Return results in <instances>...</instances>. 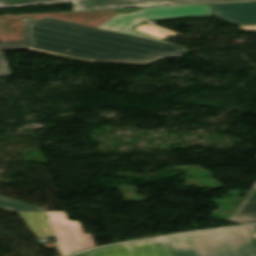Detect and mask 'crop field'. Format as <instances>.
Instances as JSON below:
<instances>
[{
    "label": "crop field",
    "mask_w": 256,
    "mask_h": 256,
    "mask_svg": "<svg viewBox=\"0 0 256 256\" xmlns=\"http://www.w3.org/2000/svg\"><path fill=\"white\" fill-rule=\"evenodd\" d=\"M176 256H256L246 227L169 237Z\"/></svg>",
    "instance_id": "obj_2"
},
{
    "label": "crop field",
    "mask_w": 256,
    "mask_h": 256,
    "mask_svg": "<svg viewBox=\"0 0 256 256\" xmlns=\"http://www.w3.org/2000/svg\"><path fill=\"white\" fill-rule=\"evenodd\" d=\"M0 209L7 211H41L42 207L20 202L11 198L0 196Z\"/></svg>",
    "instance_id": "obj_8"
},
{
    "label": "crop field",
    "mask_w": 256,
    "mask_h": 256,
    "mask_svg": "<svg viewBox=\"0 0 256 256\" xmlns=\"http://www.w3.org/2000/svg\"><path fill=\"white\" fill-rule=\"evenodd\" d=\"M238 29H244V30H255L256 31V25H250V26H239Z\"/></svg>",
    "instance_id": "obj_12"
},
{
    "label": "crop field",
    "mask_w": 256,
    "mask_h": 256,
    "mask_svg": "<svg viewBox=\"0 0 256 256\" xmlns=\"http://www.w3.org/2000/svg\"><path fill=\"white\" fill-rule=\"evenodd\" d=\"M211 10L212 16L238 25L256 24V2L211 5Z\"/></svg>",
    "instance_id": "obj_6"
},
{
    "label": "crop field",
    "mask_w": 256,
    "mask_h": 256,
    "mask_svg": "<svg viewBox=\"0 0 256 256\" xmlns=\"http://www.w3.org/2000/svg\"><path fill=\"white\" fill-rule=\"evenodd\" d=\"M27 49L25 41L0 43V76L11 75L2 51Z\"/></svg>",
    "instance_id": "obj_9"
},
{
    "label": "crop field",
    "mask_w": 256,
    "mask_h": 256,
    "mask_svg": "<svg viewBox=\"0 0 256 256\" xmlns=\"http://www.w3.org/2000/svg\"><path fill=\"white\" fill-rule=\"evenodd\" d=\"M36 238L54 236L61 256L95 247L91 233L84 234L79 221L68 220L64 211L17 212Z\"/></svg>",
    "instance_id": "obj_3"
},
{
    "label": "crop field",
    "mask_w": 256,
    "mask_h": 256,
    "mask_svg": "<svg viewBox=\"0 0 256 256\" xmlns=\"http://www.w3.org/2000/svg\"><path fill=\"white\" fill-rule=\"evenodd\" d=\"M138 3H135V2ZM256 0H0V8L26 6L47 3L74 2L73 11L81 10H109L120 9L122 7L140 6L155 7L176 5H197V4H219V3H235V2H251Z\"/></svg>",
    "instance_id": "obj_4"
},
{
    "label": "crop field",
    "mask_w": 256,
    "mask_h": 256,
    "mask_svg": "<svg viewBox=\"0 0 256 256\" xmlns=\"http://www.w3.org/2000/svg\"><path fill=\"white\" fill-rule=\"evenodd\" d=\"M76 256H82V254L76 255Z\"/></svg>",
    "instance_id": "obj_13"
},
{
    "label": "crop field",
    "mask_w": 256,
    "mask_h": 256,
    "mask_svg": "<svg viewBox=\"0 0 256 256\" xmlns=\"http://www.w3.org/2000/svg\"><path fill=\"white\" fill-rule=\"evenodd\" d=\"M228 221L241 225L256 222V184L237 206Z\"/></svg>",
    "instance_id": "obj_7"
},
{
    "label": "crop field",
    "mask_w": 256,
    "mask_h": 256,
    "mask_svg": "<svg viewBox=\"0 0 256 256\" xmlns=\"http://www.w3.org/2000/svg\"><path fill=\"white\" fill-rule=\"evenodd\" d=\"M83 256H175L168 237L93 249L82 253Z\"/></svg>",
    "instance_id": "obj_5"
},
{
    "label": "crop field",
    "mask_w": 256,
    "mask_h": 256,
    "mask_svg": "<svg viewBox=\"0 0 256 256\" xmlns=\"http://www.w3.org/2000/svg\"><path fill=\"white\" fill-rule=\"evenodd\" d=\"M256 248V225L247 227Z\"/></svg>",
    "instance_id": "obj_11"
},
{
    "label": "crop field",
    "mask_w": 256,
    "mask_h": 256,
    "mask_svg": "<svg viewBox=\"0 0 256 256\" xmlns=\"http://www.w3.org/2000/svg\"><path fill=\"white\" fill-rule=\"evenodd\" d=\"M211 15L210 5L143 8L118 14L94 28L54 19L24 18L28 49L80 59L145 64L187 49L133 30L144 19L154 21Z\"/></svg>",
    "instance_id": "obj_1"
},
{
    "label": "crop field",
    "mask_w": 256,
    "mask_h": 256,
    "mask_svg": "<svg viewBox=\"0 0 256 256\" xmlns=\"http://www.w3.org/2000/svg\"><path fill=\"white\" fill-rule=\"evenodd\" d=\"M136 30L141 31L146 34H149V35L159 38L161 40H163L171 35L177 34V33H173L168 30L162 29L160 27H157L151 23L146 24V25H140L138 28H136Z\"/></svg>",
    "instance_id": "obj_10"
}]
</instances>
